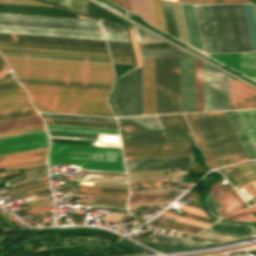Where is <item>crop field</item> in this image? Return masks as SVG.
Wrapping results in <instances>:
<instances>
[{
	"label": "crop field",
	"mask_w": 256,
	"mask_h": 256,
	"mask_svg": "<svg viewBox=\"0 0 256 256\" xmlns=\"http://www.w3.org/2000/svg\"><path fill=\"white\" fill-rule=\"evenodd\" d=\"M184 115L210 168L249 159L225 111Z\"/></svg>",
	"instance_id": "1"
},
{
	"label": "crop field",
	"mask_w": 256,
	"mask_h": 256,
	"mask_svg": "<svg viewBox=\"0 0 256 256\" xmlns=\"http://www.w3.org/2000/svg\"><path fill=\"white\" fill-rule=\"evenodd\" d=\"M22 85L36 111L114 117L106 101L110 90Z\"/></svg>",
	"instance_id": "2"
},
{
	"label": "crop field",
	"mask_w": 256,
	"mask_h": 256,
	"mask_svg": "<svg viewBox=\"0 0 256 256\" xmlns=\"http://www.w3.org/2000/svg\"><path fill=\"white\" fill-rule=\"evenodd\" d=\"M16 77L112 84L111 65L4 57Z\"/></svg>",
	"instance_id": "3"
},
{
	"label": "crop field",
	"mask_w": 256,
	"mask_h": 256,
	"mask_svg": "<svg viewBox=\"0 0 256 256\" xmlns=\"http://www.w3.org/2000/svg\"><path fill=\"white\" fill-rule=\"evenodd\" d=\"M48 164L81 165V169L125 172L121 149L50 143Z\"/></svg>",
	"instance_id": "4"
},
{
	"label": "crop field",
	"mask_w": 256,
	"mask_h": 256,
	"mask_svg": "<svg viewBox=\"0 0 256 256\" xmlns=\"http://www.w3.org/2000/svg\"><path fill=\"white\" fill-rule=\"evenodd\" d=\"M221 52L252 51L242 5H210Z\"/></svg>",
	"instance_id": "5"
},
{
	"label": "crop field",
	"mask_w": 256,
	"mask_h": 256,
	"mask_svg": "<svg viewBox=\"0 0 256 256\" xmlns=\"http://www.w3.org/2000/svg\"><path fill=\"white\" fill-rule=\"evenodd\" d=\"M0 46L108 54L104 41L0 33Z\"/></svg>",
	"instance_id": "6"
},
{
	"label": "crop field",
	"mask_w": 256,
	"mask_h": 256,
	"mask_svg": "<svg viewBox=\"0 0 256 256\" xmlns=\"http://www.w3.org/2000/svg\"><path fill=\"white\" fill-rule=\"evenodd\" d=\"M157 114L181 113L179 56L155 58Z\"/></svg>",
	"instance_id": "7"
},
{
	"label": "crop field",
	"mask_w": 256,
	"mask_h": 256,
	"mask_svg": "<svg viewBox=\"0 0 256 256\" xmlns=\"http://www.w3.org/2000/svg\"><path fill=\"white\" fill-rule=\"evenodd\" d=\"M35 115L25 90L9 71L0 72V121Z\"/></svg>",
	"instance_id": "8"
},
{
	"label": "crop field",
	"mask_w": 256,
	"mask_h": 256,
	"mask_svg": "<svg viewBox=\"0 0 256 256\" xmlns=\"http://www.w3.org/2000/svg\"><path fill=\"white\" fill-rule=\"evenodd\" d=\"M204 111L230 109L229 77L203 62Z\"/></svg>",
	"instance_id": "9"
},
{
	"label": "crop field",
	"mask_w": 256,
	"mask_h": 256,
	"mask_svg": "<svg viewBox=\"0 0 256 256\" xmlns=\"http://www.w3.org/2000/svg\"><path fill=\"white\" fill-rule=\"evenodd\" d=\"M118 123L122 145L188 141L177 131L150 132L129 122Z\"/></svg>",
	"instance_id": "10"
},
{
	"label": "crop field",
	"mask_w": 256,
	"mask_h": 256,
	"mask_svg": "<svg viewBox=\"0 0 256 256\" xmlns=\"http://www.w3.org/2000/svg\"><path fill=\"white\" fill-rule=\"evenodd\" d=\"M191 143H164L122 146L124 158H154L191 155Z\"/></svg>",
	"instance_id": "11"
},
{
	"label": "crop field",
	"mask_w": 256,
	"mask_h": 256,
	"mask_svg": "<svg viewBox=\"0 0 256 256\" xmlns=\"http://www.w3.org/2000/svg\"><path fill=\"white\" fill-rule=\"evenodd\" d=\"M182 113L196 112L194 57L180 56Z\"/></svg>",
	"instance_id": "12"
},
{
	"label": "crop field",
	"mask_w": 256,
	"mask_h": 256,
	"mask_svg": "<svg viewBox=\"0 0 256 256\" xmlns=\"http://www.w3.org/2000/svg\"><path fill=\"white\" fill-rule=\"evenodd\" d=\"M0 32L104 40L102 32L0 25Z\"/></svg>",
	"instance_id": "13"
},
{
	"label": "crop field",
	"mask_w": 256,
	"mask_h": 256,
	"mask_svg": "<svg viewBox=\"0 0 256 256\" xmlns=\"http://www.w3.org/2000/svg\"><path fill=\"white\" fill-rule=\"evenodd\" d=\"M48 146L45 130L0 138V154Z\"/></svg>",
	"instance_id": "14"
},
{
	"label": "crop field",
	"mask_w": 256,
	"mask_h": 256,
	"mask_svg": "<svg viewBox=\"0 0 256 256\" xmlns=\"http://www.w3.org/2000/svg\"><path fill=\"white\" fill-rule=\"evenodd\" d=\"M47 152L48 147L0 155V168L8 170L12 168L42 164L45 161Z\"/></svg>",
	"instance_id": "15"
},
{
	"label": "crop field",
	"mask_w": 256,
	"mask_h": 256,
	"mask_svg": "<svg viewBox=\"0 0 256 256\" xmlns=\"http://www.w3.org/2000/svg\"><path fill=\"white\" fill-rule=\"evenodd\" d=\"M144 114H156L154 58L143 59Z\"/></svg>",
	"instance_id": "16"
},
{
	"label": "crop field",
	"mask_w": 256,
	"mask_h": 256,
	"mask_svg": "<svg viewBox=\"0 0 256 256\" xmlns=\"http://www.w3.org/2000/svg\"><path fill=\"white\" fill-rule=\"evenodd\" d=\"M231 108H256V90L230 79Z\"/></svg>",
	"instance_id": "17"
},
{
	"label": "crop field",
	"mask_w": 256,
	"mask_h": 256,
	"mask_svg": "<svg viewBox=\"0 0 256 256\" xmlns=\"http://www.w3.org/2000/svg\"><path fill=\"white\" fill-rule=\"evenodd\" d=\"M180 5H181V10L183 14V19H184V24L186 28L189 45L203 51L195 7L194 5H188V4H182V3H180Z\"/></svg>",
	"instance_id": "18"
},
{
	"label": "crop field",
	"mask_w": 256,
	"mask_h": 256,
	"mask_svg": "<svg viewBox=\"0 0 256 256\" xmlns=\"http://www.w3.org/2000/svg\"><path fill=\"white\" fill-rule=\"evenodd\" d=\"M142 240L150 244H153L165 249H170V250L206 245L204 242L186 240V239L165 236V235H160L155 233H153L151 237H143Z\"/></svg>",
	"instance_id": "19"
},
{
	"label": "crop field",
	"mask_w": 256,
	"mask_h": 256,
	"mask_svg": "<svg viewBox=\"0 0 256 256\" xmlns=\"http://www.w3.org/2000/svg\"><path fill=\"white\" fill-rule=\"evenodd\" d=\"M211 194L219 202L221 206H224V209L228 214H232L240 209L241 205L236 201L228 189L223 185L222 182H219L211 186Z\"/></svg>",
	"instance_id": "20"
},
{
	"label": "crop field",
	"mask_w": 256,
	"mask_h": 256,
	"mask_svg": "<svg viewBox=\"0 0 256 256\" xmlns=\"http://www.w3.org/2000/svg\"><path fill=\"white\" fill-rule=\"evenodd\" d=\"M249 158L250 159H255L256 158V151L236 113V111H226Z\"/></svg>",
	"instance_id": "21"
},
{
	"label": "crop field",
	"mask_w": 256,
	"mask_h": 256,
	"mask_svg": "<svg viewBox=\"0 0 256 256\" xmlns=\"http://www.w3.org/2000/svg\"><path fill=\"white\" fill-rule=\"evenodd\" d=\"M20 83L28 84H43V85H58V86H73V87H88V88H103L110 89L112 85L106 84H92V83H78V82H64L51 80H37V79H23L17 78Z\"/></svg>",
	"instance_id": "22"
},
{
	"label": "crop field",
	"mask_w": 256,
	"mask_h": 256,
	"mask_svg": "<svg viewBox=\"0 0 256 256\" xmlns=\"http://www.w3.org/2000/svg\"><path fill=\"white\" fill-rule=\"evenodd\" d=\"M48 130L119 135L117 129L46 124Z\"/></svg>",
	"instance_id": "23"
},
{
	"label": "crop field",
	"mask_w": 256,
	"mask_h": 256,
	"mask_svg": "<svg viewBox=\"0 0 256 256\" xmlns=\"http://www.w3.org/2000/svg\"><path fill=\"white\" fill-rule=\"evenodd\" d=\"M148 7L153 26L168 33L160 0H148ZM158 22H160V24H158Z\"/></svg>",
	"instance_id": "24"
},
{
	"label": "crop field",
	"mask_w": 256,
	"mask_h": 256,
	"mask_svg": "<svg viewBox=\"0 0 256 256\" xmlns=\"http://www.w3.org/2000/svg\"><path fill=\"white\" fill-rule=\"evenodd\" d=\"M39 114L42 116V118H50V119H65V120H80V121H95V122L117 123L116 119H114V118H106V117L50 114V113H39Z\"/></svg>",
	"instance_id": "25"
},
{
	"label": "crop field",
	"mask_w": 256,
	"mask_h": 256,
	"mask_svg": "<svg viewBox=\"0 0 256 256\" xmlns=\"http://www.w3.org/2000/svg\"><path fill=\"white\" fill-rule=\"evenodd\" d=\"M158 118H159L163 128L176 127L179 130H181L187 134L191 133L182 114L158 116Z\"/></svg>",
	"instance_id": "26"
},
{
	"label": "crop field",
	"mask_w": 256,
	"mask_h": 256,
	"mask_svg": "<svg viewBox=\"0 0 256 256\" xmlns=\"http://www.w3.org/2000/svg\"><path fill=\"white\" fill-rule=\"evenodd\" d=\"M212 53L220 52L209 5H202Z\"/></svg>",
	"instance_id": "27"
},
{
	"label": "crop field",
	"mask_w": 256,
	"mask_h": 256,
	"mask_svg": "<svg viewBox=\"0 0 256 256\" xmlns=\"http://www.w3.org/2000/svg\"><path fill=\"white\" fill-rule=\"evenodd\" d=\"M253 51H256V16L253 5H243Z\"/></svg>",
	"instance_id": "28"
},
{
	"label": "crop field",
	"mask_w": 256,
	"mask_h": 256,
	"mask_svg": "<svg viewBox=\"0 0 256 256\" xmlns=\"http://www.w3.org/2000/svg\"><path fill=\"white\" fill-rule=\"evenodd\" d=\"M223 64L241 72L242 53L208 55Z\"/></svg>",
	"instance_id": "29"
},
{
	"label": "crop field",
	"mask_w": 256,
	"mask_h": 256,
	"mask_svg": "<svg viewBox=\"0 0 256 256\" xmlns=\"http://www.w3.org/2000/svg\"><path fill=\"white\" fill-rule=\"evenodd\" d=\"M227 169L256 203V189L242 174V172L237 168V166L233 165V166L227 167Z\"/></svg>",
	"instance_id": "30"
},
{
	"label": "crop field",
	"mask_w": 256,
	"mask_h": 256,
	"mask_svg": "<svg viewBox=\"0 0 256 256\" xmlns=\"http://www.w3.org/2000/svg\"><path fill=\"white\" fill-rule=\"evenodd\" d=\"M42 123H43L42 119L39 116L17 119V120H11V121H5V122H0V131L1 130L18 128V127L42 124Z\"/></svg>",
	"instance_id": "31"
},
{
	"label": "crop field",
	"mask_w": 256,
	"mask_h": 256,
	"mask_svg": "<svg viewBox=\"0 0 256 256\" xmlns=\"http://www.w3.org/2000/svg\"><path fill=\"white\" fill-rule=\"evenodd\" d=\"M197 112L203 111L202 61L195 58Z\"/></svg>",
	"instance_id": "32"
},
{
	"label": "crop field",
	"mask_w": 256,
	"mask_h": 256,
	"mask_svg": "<svg viewBox=\"0 0 256 256\" xmlns=\"http://www.w3.org/2000/svg\"><path fill=\"white\" fill-rule=\"evenodd\" d=\"M242 74L256 80V53H243Z\"/></svg>",
	"instance_id": "33"
},
{
	"label": "crop field",
	"mask_w": 256,
	"mask_h": 256,
	"mask_svg": "<svg viewBox=\"0 0 256 256\" xmlns=\"http://www.w3.org/2000/svg\"><path fill=\"white\" fill-rule=\"evenodd\" d=\"M0 53L2 55H9V56H23V57H37V58H50V59H64V60L111 63L110 60H103V59H89V58H75V57H61V56H47V55H33V54H19V53H5V52H0Z\"/></svg>",
	"instance_id": "34"
},
{
	"label": "crop field",
	"mask_w": 256,
	"mask_h": 256,
	"mask_svg": "<svg viewBox=\"0 0 256 256\" xmlns=\"http://www.w3.org/2000/svg\"><path fill=\"white\" fill-rule=\"evenodd\" d=\"M162 2V6H163V10H164V15H165V19H166V24H167V28H168V32L170 35L174 36L175 38H178V34H177V30H176V25H175V21H174V17H173V12H172V8H171V4L168 1H163Z\"/></svg>",
	"instance_id": "35"
},
{
	"label": "crop field",
	"mask_w": 256,
	"mask_h": 256,
	"mask_svg": "<svg viewBox=\"0 0 256 256\" xmlns=\"http://www.w3.org/2000/svg\"><path fill=\"white\" fill-rule=\"evenodd\" d=\"M0 50L110 58L109 55H101V54L44 51V50H30V49H16V48H2V47H0Z\"/></svg>",
	"instance_id": "36"
},
{
	"label": "crop field",
	"mask_w": 256,
	"mask_h": 256,
	"mask_svg": "<svg viewBox=\"0 0 256 256\" xmlns=\"http://www.w3.org/2000/svg\"><path fill=\"white\" fill-rule=\"evenodd\" d=\"M143 58L188 54L178 48L140 51Z\"/></svg>",
	"instance_id": "37"
},
{
	"label": "crop field",
	"mask_w": 256,
	"mask_h": 256,
	"mask_svg": "<svg viewBox=\"0 0 256 256\" xmlns=\"http://www.w3.org/2000/svg\"><path fill=\"white\" fill-rule=\"evenodd\" d=\"M129 5L132 12L143 17L151 24L146 0H129Z\"/></svg>",
	"instance_id": "38"
},
{
	"label": "crop field",
	"mask_w": 256,
	"mask_h": 256,
	"mask_svg": "<svg viewBox=\"0 0 256 256\" xmlns=\"http://www.w3.org/2000/svg\"><path fill=\"white\" fill-rule=\"evenodd\" d=\"M161 181L162 180L129 182L130 192L159 189Z\"/></svg>",
	"instance_id": "39"
},
{
	"label": "crop field",
	"mask_w": 256,
	"mask_h": 256,
	"mask_svg": "<svg viewBox=\"0 0 256 256\" xmlns=\"http://www.w3.org/2000/svg\"><path fill=\"white\" fill-rule=\"evenodd\" d=\"M205 53H211L201 5H195Z\"/></svg>",
	"instance_id": "40"
},
{
	"label": "crop field",
	"mask_w": 256,
	"mask_h": 256,
	"mask_svg": "<svg viewBox=\"0 0 256 256\" xmlns=\"http://www.w3.org/2000/svg\"><path fill=\"white\" fill-rule=\"evenodd\" d=\"M0 24H12V25H26V26H40V27H54V28H68V29H82V30L102 31L101 28H94V27L52 25V24H37V23H23V22H9V21H0Z\"/></svg>",
	"instance_id": "41"
},
{
	"label": "crop field",
	"mask_w": 256,
	"mask_h": 256,
	"mask_svg": "<svg viewBox=\"0 0 256 256\" xmlns=\"http://www.w3.org/2000/svg\"><path fill=\"white\" fill-rule=\"evenodd\" d=\"M45 123L117 128L116 124L43 119Z\"/></svg>",
	"instance_id": "42"
},
{
	"label": "crop field",
	"mask_w": 256,
	"mask_h": 256,
	"mask_svg": "<svg viewBox=\"0 0 256 256\" xmlns=\"http://www.w3.org/2000/svg\"><path fill=\"white\" fill-rule=\"evenodd\" d=\"M255 148H256V129L246 110L237 111Z\"/></svg>",
	"instance_id": "43"
},
{
	"label": "crop field",
	"mask_w": 256,
	"mask_h": 256,
	"mask_svg": "<svg viewBox=\"0 0 256 256\" xmlns=\"http://www.w3.org/2000/svg\"><path fill=\"white\" fill-rule=\"evenodd\" d=\"M110 54L132 55L128 42L107 41Z\"/></svg>",
	"instance_id": "44"
},
{
	"label": "crop field",
	"mask_w": 256,
	"mask_h": 256,
	"mask_svg": "<svg viewBox=\"0 0 256 256\" xmlns=\"http://www.w3.org/2000/svg\"><path fill=\"white\" fill-rule=\"evenodd\" d=\"M43 129H45L44 124L30 126V127H24V128H18V129H13V130H7V131H1L0 137L14 135V134H20V133H26V132H31V131H37V130H43Z\"/></svg>",
	"instance_id": "45"
},
{
	"label": "crop field",
	"mask_w": 256,
	"mask_h": 256,
	"mask_svg": "<svg viewBox=\"0 0 256 256\" xmlns=\"http://www.w3.org/2000/svg\"><path fill=\"white\" fill-rule=\"evenodd\" d=\"M134 30H135V34H136V38H137V42L138 43H145V42H159L162 41L148 33H146L145 31L141 30L140 28L134 26Z\"/></svg>",
	"instance_id": "46"
},
{
	"label": "crop field",
	"mask_w": 256,
	"mask_h": 256,
	"mask_svg": "<svg viewBox=\"0 0 256 256\" xmlns=\"http://www.w3.org/2000/svg\"><path fill=\"white\" fill-rule=\"evenodd\" d=\"M48 133H49V136H66V137L99 139L98 134L69 133V132H55V131H48Z\"/></svg>",
	"instance_id": "47"
},
{
	"label": "crop field",
	"mask_w": 256,
	"mask_h": 256,
	"mask_svg": "<svg viewBox=\"0 0 256 256\" xmlns=\"http://www.w3.org/2000/svg\"><path fill=\"white\" fill-rule=\"evenodd\" d=\"M237 166L239 167V169L244 173V175L249 179V181L256 188V174L248 166V164L247 163H242V164H238Z\"/></svg>",
	"instance_id": "48"
},
{
	"label": "crop field",
	"mask_w": 256,
	"mask_h": 256,
	"mask_svg": "<svg viewBox=\"0 0 256 256\" xmlns=\"http://www.w3.org/2000/svg\"><path fill=\"white\" fill-rule=\"evenodd\" d=\"M79 190L109 192V193H121V194H127L128 193V191L126 189H112V188H99V187H86V186H80Z\"/></svg>",
	"instance_id": "49"
},
{
	"label": "crop field",
	"mask_w": 256,
	"mask_h": 256,
	"mask_svg": "<svg viewBox=\"0 0 256 256\" xmlns=\"http://www.w3.org/2000/svg\"><path fill=\"white\" fill-rule=\"evenodd\" d=\"M0 3H12V4H28V5H43L50 6L45 3L36 0H0Z\"/></svg>",
	"instance_id": "50"
},
{
	"label": "crop field",
	"mask_w": 256,
	"mask_h": 256,
	"mask_svg": "<svg viewBox=\"0 0 256 256\" xmlns=\"http://www.w3.org/2000/svg\"><path fill=\"white\" fill-rule=\"evenodd\" d=\"M107 40L128 41L126 34L104 32Z\"/></svg>",
	"instance_id": "51"
},
{
	"label": "crop field",
	"mask_w": 256,
	"mask_h": 256,
	"mask_svg": "<svg viewBox=\"0 0 256 256\" xmlns=\"http://www.w3.org/2000/svg\"><path fill=\"white\" fill-rule=\"evenodd\" d=\"M233 220H238V221H253L251 217L246 213L245 210L238 212L236 214L231 215Z\"/></svg>",
	"instance_id": "52"
},
{
	"label": "crop field",
	"mask_w": 256,
	"mask_h": 256,
	"mask_svg": "<svg viewBox=\"0 0 256 256\" xmlns=\"http://www.w3.org/2000/svg\"><path fill=\"white\" fill-rule=\"evenodd\" d=\"M82 201L126 205V202H118V201H101V200H88V199H82Z\"/></svg>",
	"instance_id": "53"
},
{
	"label": "crop field",
	"mask_w": 256,
	"mask_h": 256,
	"mask_svg": "<svg viewBox=\"0 0 256 256\" xmlns=\"http://www.w3.org/2000/svg\"><path fill=\"white\" fill-rule=\"evenodd\" d=\"M215 3H250L246 0H215Z\"/></svg>",
	"instance_id": "54"
},
{
	"label": "crop field",
	"mask_w": 256,
	"mask_h": 256,
	"mask_svg": "<svg viewBox=\"0 0 256 256\" xmlns=\"http://www.w3.org/2000/svg\"><path fill=\"white\" fill-rule=\"evenodd\" d=\"M248 214L253 218L254 221H256V205L252 206L250 208L245 209Z\"/></svg>",
	"instance_id": "55"
},
{
	"label": "crop field",
	"mask_w": 256,
	"mask_h": 256,
	"mask_svg": "<svg viewBox=\"0 0 256 256\" xmlns=\"http://www.w3.org/2000/svg\"><path fill=\"white\" fill-rule=\"evenodd\" d=\"M112 59L133 61L132 56L110 55Z\"/></svg>",
	"instance_id": "56"
},
{
	"label": "crop field",
	"mask_w": 256,
	"mask_h": 256,
	"mask_svg": "<svg viewBox=\"0 0 256 256\" xmlns=\"http://www.w3.org/2000/svg\"><path fill=\"white\" fill-rule=\"evenodd\" d=\"M52 2H55L57 4H60V5H63L65 7H68L70 6V0H51Z\"/></svg>",
	"instance_id": "57"
},
{
	"label": "crop field",
	"mask_w": 256,
	"mask_h": 256,
	"mask_svg": "<svg viewBox=\"0 0 256 256\" xmlns=\"http://www.w3.org/2000/svg\"><path fill=\"white\" fill-rule=\"evenodd\" d=\"M152 201H158V198L143 199V200H133V201H129L128 204H132V203H142V202H152Z\"/></svg>",
	"instance_id": "58"
},
{
	"label": "crop field",
	"mask_w": 256,
	"mask_h": 256,
	"mask_svg": "<svg viewBox=\"0 0 256 256\" xmlns=\"http://www.w3.org/2000/svg\"><path fill=\"white\" fill-rule=\"evenodd\" d=\"M153 192L130 194L129 197L153 195Z\"/></svg>",
	"instance_id": "59"
},
{
	"label": "crop field",
	"mask_w": 256,
	"mask_h": 256,
	"mask_svg": "<svg viewBox=\"0 0 256 256\" xmlns=\"http://www.w3.org/2000/svg\"><path fill=\"white\" fill-rule=\"evenodd\" d=\"M254 123H255V126H256V109L255 110H248Z\"/></svg>",
	"instance_id": "60"
},
{
	"label": "crop field",
	"mask_w": 256,
	"mask_h": 256,
	"mask_svg": "<svg viewBox=\"0 0 256 256\" xmlns=\"http://www.w3.org/2000/svg\"><path fill=\"white\" fill-rule=\"evenodd\" d=\"M104 31L126 33L125 30L103 28Z\"/></svg>",
	"instance_id": "61"
},
{
	"label": "crop field",
	"mask_w": 256,
	"mask_h": 256,
	"mask_svg": "<svg viewBox=\"0 0 256 256\" xmlns=\"http://www.w3.org/2000/svg\"><path fill=\"white\" fill-rule=\"evenodd\" d=\"M113 63L134 65L133 62L112 60Z\"/></svg>",
	"instance_id": "62"
},
{
	"label": "crop field",
	"mask_w": 256,
	"mask_h": 256,
	"mask_svg": "<svg viewBox=\"0 0 256 256\" xmlns=\"http://www.w3.org/2000/svg\"><path fill=\"white\" fill-rule=\"evenodd\" d=\"M5 70H8V68L0 58V71H5Z\"/></svg>",
	"instance_id": "63"
},
{
	"label": "crop field",
	"mask_w": 256,
	"mask_h": 256,
	"mask_svg": "<svg viewBox=\"0 0 256 256\" xmlns=\"http://www.w3.org/2000/svg\"><path fill=\"white\" fill-rule=\"evenodd\" d=\"M180 2H187V3H199V0H177Z\"/></svg>",
	"instance_id": "64"
},
{
	"label": "crop field",
	"mask_w": 256,
	"mask_h": 256,
	"mask_svg": "<svg viewBox=\"0 0 256 256\" xmlns=\"http://www.w3.org/2000/svg\"><path fill=\"white\" fill-rule=\"evenodd\" d=\"M248 164L254 170V172L256 173V165H255V163L254 162H250Z\"/></svg>",
	"instance_id": "65"
},
{
	"label": "crop field",
	"mask_w": 256,
	"mask_h": 256,
	"mask_svg": "<svg viewBox=\"0 0 256 256\" xmlns=\"http://www.w3.org/2000/svg\"><path fill=\"white\" fill-rule=\"evenodd\" d=\"M200 3H214V0H200Z\"/></svg>",
	"instance_id": "66"
},
{
	"label": "crop field",
	"mask_w": 256,
	"mask_h": 256,
	"mask_svg": "<svg viewBox=\"0 0 256 256\" xmlns=\"http://www.w3.org/2000/svg\"><path fill=\"white\" fill-rule=\"evenodd\" d=\"M94 199H102V198H94ZM103 200H118V199H103ZM119 201H126V200H119Z\"/></svg>",
	"instance_id": "67"
},
{
	"label": "crop field",
	"mask_w": 256,
	"mask_h": 256,
	"mask_svg": "<svg viewBox=\"0 0 256 256\" xmlns=\"http://www.w3.org/2000/svg\"><path fill=\"white\" fill-rule=\"evenodd\" d=\"M231 256H251V255H231Z\"/></svg>",
	"instance_id": "68"
},
{
	"label": "crop field",
	"mask_w": 256,
	"mask_h": 256,
	"mask_svg": "<svg viewBox=\"0 0 256 256\" xmlns=\"http://www.w3.org/2000/svg\"><path fill=\"white\" fill-rule=\"evenodd\" d=\"M255 7V11H256V6H254Z\"/></svg>",
	"instance_id": "69"
},
{
	"label": "crop field",
	"mask_w": 256,
	"mask_h": 256,
	"mask_svg": "<svg viewBox=\"0 0 256 256\" xmlns=\"http://www.w3.org/2000/svg\"><path fill=\"white\" fill-rule=\"evenodd\" d=\"M255 163H256V161H255Z\"/></svg>",
	"instance_id": "70"
},
{
	"label": "crop field",
	"mask_w": 256,
	"mask_h": 256,
	"mask_svg": "<svg viewBox=\"0 0 256 256\" xmlns=\"http://www.w3.org/2000/svg\"><path fill=\"white\" fill-rule=\"evenodd\" d=\"M174 1H176V0H174Z\"/></svg>",
	"instance_id": "71"
},
{
	"label": "crop field",
	"mask_w": 256,
	"mask_h": 256,
	"mask_svg": "<svg viewBox=\"0 0 256 256\" xmlns=\"http://www.w3.org/2000/svg\"><path fill=\"white\" fill-rule=\"evenodd\" d=\"M50 1V0H49Z\"/></svg>",
	"instance_id": "72"
}]
</instances>
